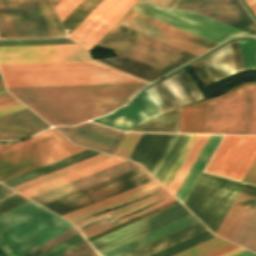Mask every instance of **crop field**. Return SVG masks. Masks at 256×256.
Here are the masks:
<instances>
[{
    "instance_id": "crop-field-8",
    "label": "crop field",
    "mask_w": 256,
    "mask_h": 256,
    "mask_svg": "<svg viewBox=\"0 0 256 256\" xmlns=\"http://www.w3.org/2000/svg\"><path fill=\"white\" fill-rule=\"evenodd\" d=\"M156 191H158L157 193H155ZM155 193L143 200L137 201V202H133L130 204H127L119 209L107 212V213H103V214H99V215H95V216H91V217H87V218H83L86 217L88 215L91 214H95V213H99V212H103L109 209H113L116 208L120 205L126 204L128 202L137 200L139 198L145 197L149 194ZM163 200V201H161ZM174 200V198L162 187H158L155 189H152L150 191L144 192L142 194L136 195L134 197L128 198L126 200L120 201L118 203L112 204L110 206L104 207L102 209L96 210L94 212L88 213L86 215L80 216L78 218L72 219L70 220L78 229L79 231L86 237H90L92 235H95L99 232H102L108 228H111L115 225H118L122 222H125L131 218H134L140 214H143L147 211H150L156 207H159L165 203H168L170 201ZM157 201H161L141 212H137L135 214H132L126 218H122V219H118L126 214L132 213L134 211H137L147 205H150L154 202ZM83 218V220L81 219ZM118 219V220H116Z\"/></svg>"
},
{
    "instance_id": "crop-field-1",
    "label": "crop field",
    "mask_w": 256,
    "mask_h": 256,
    "mask_svg": "<svg viewBox=\"0 0 256 256\" xmlns=\"http://www.w3.org/2000/svg\"><path fill=\"white\" fill-rule=\"evenodd\" d=\"M93 61L77 44L0 47V64ZM7 89L148 84L97 62L0 65ZM145 85L8 90L51 125H75L125 104Z\"/></svg>"
},
{
    "instance_id": "crop-field-62",
    "label": "crop field",
    "mask_w": 256,
    "mask_h": 256,
    "mask_svg": "<svg viewBox=\"0 0 256 256\" xmlns=\"http://www.w3.org/2000/svg\"><path fill=\"white\" fill-rule=\"evenodd\" d=\"M54 5H56L60 0H52Z\"/></svg>"
},
{
    "instance_id": "crop-field-6",
    "label": "crop field",
    "mask_w": 256,
    "mask_h": 256,
    "mask_svg": "<svg viewBox=\"0 0 256 256\" xmlns=\"http://www.w3.org/2000/svg\"><path fill=\"white\" fill-rule=\"evenodd\" d=\"M242 186L201 172L183 205L215 234Z\"/></svg>"
},
{
    "instance_id": "crop-field-26",
    "label": "crop field",
    "mask_w": 256,
    "mask_h": 256,
    "mask_svg": "<svg viewBox=\"0 0 256 256\" xmlns=\"http://www.w3.org/2000/svg\"><path fill=\"white\" fill-rule=\"evenodd\" d=\"M204 230H206V228L197 221L121 256H147Z\"/></svg>"
},
{
    "instance_id": "crop-field-22",
    "label": "crop field",
    "mask_w": 256,
    "mask_h": 256,
    "mask_svg": "<svg viewBox=\"0 0 256 256\" xmlns=\"http://www.w3.org/2000/svg\"><path fill=\"white\" fill-rule=\"evenodd\" d=\"M118 24L123 25L125 27H128L130 29H133L135 31H138L140 33H143L145 35H148L150 37H153L155 39H158L162 42H165L167 44H170L172 46H175L177 48H180L182 50H185L187 52H190L192 54H195L197 56L205 53L209 49L204 48L200 45H197L195 43H192L190 41H187L183 38H180L178 36H175L173 34H170L166 31H163L161 29H158L156 27H153L149 24H146L144 22H141L139 20H136L132 17H129L125 15Z\"/></svg>"
},
{
    "instance_id": "crop-field-20",
    "label": "crop field",
    "mask_w": 256,
    "mask_h": 256,
    "mask_svg": "<svg viewBox=\"0 0 256 256\" xmlns=\"http://www.w3.org/2000/svg\"><path fill=\"white\" fill-rule=\"evenodd\" d=\"M156 84L172 108L203 99L184 69Z\"/></svg>"
},
{
    "instance_id": "crop-field-19",
    "label": "crop field",
    "mask_w": 256,
    "mask_h": 256,
    "mask_svg": "<svg viewBox=\"0 0 256 256\" xmlns=\"http://www.w3.org/2000/svg\"><path fill=\"white\" fill-rule=\"evenodd\" d=\"M137 167H140V165L126 161L124 163L118 164L111 168L105 169L103 171L92 174L85 178L71 182L69 184L58 187L56 189L45 192L38 196L32 197L30 199L35 201L36 203L42 205V204L49 202L53 199L63 197L65 195H68L75 191L81 190L89 185L95 184L97 182L103 181L105 179L111 178L113 176L119 175V174L127 172L129 170L135 169Z\"/></svg>"
},
{
    "instance_id": "crop-field-53",
    "label": "crop field",
    "mask_w": 256,
    "mask_h": 256,
    "mask_svg": "<svg viewBox=\"0 0 256 256\" xmlns=\"http://www.w3.org/2000/svg\"><path fill=\"white\" fill-rule=\"evenodd\" d=\"M16 101L11 95L8 93L0 95V105Z\"/></svg>"
},
{
    "instance_id": "crop-field-14",
    "label": "crop field",
    "mask_w": 256,
    "mask_h": 256,
    "mask_svg": "<svg viewBox=\"0 0 256 256\" xmlns=\"http://www.w3.org/2000/svg\"><path fill=\"white\" fill-rule=\"evenodd\" d=\"M136 0H103L68 38L90 49Z\"/></svg>"
},
{
    "instance_id": "crop-field-17",
    "label": "crop field",
    "mask_w": 256,
    "mask_h": 256,
    "mask_svg": "<svg viewBox=\"0 0 256 256\" xmlns=\"http://www.w3.org/2000/svg\"><path fill=\"white\" fill-rule=\"evenodd\" d=\"M159 113L160 111L145 91L128 107H123L105 117L92 120V122L126 131Z\"/></svg>"
},
{
    "instance_id": "crop-field-40",
    "label": "crop field",
    "mask_w": 256,
    "mask_h": 256,
    "mask_svg": "<svg viewBox=\"0 0 256 256\" xmlns=\"http://www.w3.org/2000/svg\"><path fill=\"white\" fill-rule=\"evenodd\" d=\"M245 70L256 69V40H239Z\"/></svg>"
},
{
    "instance_id": "crop-field-42",
    "label": "crop field",
    "mask_w": 256,
    "mask_h": 256,
    "mask_svg": "<svg viewBox=\"0 0 256 256\" xmlns=\"http://www.w3.org/2000/svg\"><path fill=\"white\" fill-rule=\"evenodd\" d=\"M76 233H78V232L73 227L21 256H36V255L40 254L41 252L51 248L52 246L60 243L61 241L69 238L70 236H72Z\"/></svg>"
},
{
    "instance_id": "crop-field-63",
    "label": "crop field",
    "mask_w": 256,
    "mask_h": 256,
    "mask_svg": "<svg viewBox=\"0 0 256 256\" xmlns=\"http://www.w3.org/2000/svg\"><path fill=\"white\" fill-rule=\"evenodd\" d=\"M0 88H4L3 87V83H2V80L0 79Z\"/></svg>"
},
{
    "instance_id": "crop-field-27",
    "label": "crop field",
    "mask_w": 256,
    "mask_h": 256,
    "mask_svg": "<svg viewBox=\"0 0 256 256\" xmlns=\"http://www.w3.org/2000/svg\"><path fill=\"white\" fill-rule=\"evenodd\" d=\"M199 60L214 82L235 73L229 44Z\"/></svg>"
},
{
    "instance_id": "crop-field-23",
    "label": "crop field",
    "mask_w": 256,
    "mask_h": 256,
    "mask_svg": "<svg viewBox=\"0 0 256 256\" xmlns=\"http://www.w3.org/2000/svg\"><path fill=\"white\" fill-rule=\"evenodd\" d=\"M256 197V187L244 184L216 235L231 240L243 217Z\"/></svg>"
},
{
    "instance_id": "crop-field-39",
    "label": "crop field",
    "mask_w": 256,
    "mask_h": 256,
    "mask_svg": "<svg viewBox=\"0 0 256 256\" xmlns=\"http://www.w3.org/2000/svg\"><path fill=\"white\" fill-rule=\"evenodd\" d=\"M231 243L215 237L174 256H204Z\"/></svg>"
},
{
    "instance_id": "crop-field-43",
    "label": "crop field",
    "mask_w": 256,
    "mask_h": 256,
    "mask_svg": "<svg viewBox=\"0 0 256 256\" xmlns=\"http://www.w3.org/2000/svg\"><path fill=\"white\" fill-rule=\"evenodd\" d=\"M85 241L82 236L78 233L72 237H70L69 239L61 242L60 244L52 247L51 249L41 253L38 256H57L63 252H65L66 250L76 246L77 244L81 243Z\"/></svg>"
},
{
    "instance_id": "crop-field-38",
    "label": "crop field",
    "mask_w": 256,
    "mask_h": 256,
    "mask_svg": "<svg viewBox=\"0 0 256 256\" xmlns=\"http://www.w3.org/2000/svg\"><path fill=\"white\" fill-rule=\"evenodd\" d=\"M52 36H65L50 0H37Z\"/></svg>"
},
{
    "instance_id": "crop-field-44",
    "label": "crop field",
    "mask_w": 256,
    "mask_h": 256,
    "mask_svg": "<svg viewBox=\"0 0 256 256\" xmlns=\"http://www.w3.org/2000/svg\"><path fill=\"white\" fill-rule=\"evenodd\" d=\"M140 135L141 133H126L119 147L117 146L118 148L115 154H113L115 156L127 159Z\"/></svg>"
},
{
    "instance_id": "crop-field-48",
    "label": "crop field",
    "mask_w": 256,
    "mask_h": 256,
    "mask_svg": "<svg viewBox=\"0 0 256 256\" xmlns=\"http://www.w3.org/2000/svg\"><path fill=\"white\" fill-rule=\"evenodd\" d=\"M26 200H28V199H26L18 194L7 199L6 201L0 203V214L10 210L11 208L19 205L20 203H22Z\"/></svg>"
},
{
    "instance_id": "crop-field-61",
    "label": "crop field",
    "mask_w": 256,
    "mask_h": 256,
    "mask_svg": "<svg viewBox=\"0 0 256 256\" xmlns=\"http://www.w3.org/2000/svg\"><path fill=\"white\" fill-rule=\"evenodd\" d=\"M174 2H175V0H172V1L169 3L168 6L171 7Z\"/></svg>"
},
{
    "instance_id": "crop-field-57",
    "label": "crop field",
    "mask_w": 256,
    "mask_h": 256,
    "mask_svg": "<svg viewBox=\"0 0 256 256\" xmlns=\"http://www.w3.org/2000/svg\"><path fill=\"white\" fill-rule=\"evenodd\" d=\"M243 250H245V249H243V248H241V247H238V248H236V249H234V250H231V251H229V252H227V253H225V254H222V255H220V256H232V255H234V254H236V253H239V252H241V251H243Z\"/></svg>"
},
{
    "instance_id": "crop-field-29",
    "label": "crop field",
    "mask_w": 256,
    "mask_h": 256,
    "mask_svg": "<svg viewBox=\"0 0 256 256\" xmlns=\"http://www.w3.org/2000/svg\"><path fill=\"white\" fill-rule=\"evenodd\" d=\"M195 221H197V219L193 215H191V216L184 218L178 222H175V223L168 225L164 228H161L155 232H152V233L145 235L141 238H138L132 242H129L125 245L115 248L109 252H106V253L102 254V256H119V255L126 253L132 249H135L141 245H144L152 240H155L161 236H164L170 232H173L179 228H182L188 224H191Z\"/></svg>"
},
{
    "instance_id": "crop-field-41",
    "label": "crop field",
    "mask_w": 256,
    "mask_h": 256,
    "mask_svg": "<svg viewBox=\"0 0 256 256\" xmlns=\"http://www.w3.org/2000/svg\"><path fill=\"white\" fill-rule=\"evenodd\" d=\"M74 43L67 38H45V39H9L0 40V46L6 45H34V44H62Z\"/></svg>"
},
{
    "instance_id": "crop-field-34",
    "label": "crop field",
    "mask_w": 256,
    "mask_h": 256,
    "mask_svg": "<svg viewBox=\"0 0 256 256\" xmlns=\"http://www.w3.org/2000/svg\"><path fill=\"white\" fill-rule=\"evenodd\" d=\"M102 0H83L62 22L69 35Z\"/></svg>"
},
{
    "instance_id": "crop-field-24",
    "label": "crop field",
    "mask_w": 256,
    "mask_h": 256,
    "mask_svg": "<svg viewBox=\"0 0 256 256\" xmlns=\"http://www.w3.org/2000/svg\"><path fill=\"white\" fill-rule=\"evenodd\" d=\"M126 160L118 159L111 157L109 159L103 160L101 162L95 163L93 165L87 166L85 168H82L80 170L74 171L72 173L66 174L64 176L58 177L56 179L50 180L48 182H45L43 184L37 185L35 187L29 188L27 190L19 192L20 194L30 198L32 196L38 195L40 193H43L45 191L51 190L53 188H56L58 186L64 185L66 183H69L71 181L77 180L79 178L85 177L87 175H90L92 173L98 172L100 170H103L105 168L111 167L113 165H116L118 163L124 162Z\"/></svg>"
},
{
    "instance_id": "crop-field-9",
    "label": "crop field",
    "mask_w": 256,
    "mask_h": 256,
    "mask_svg": "<svg viewBox=\"0 0 256 256\" xmlns=\"http://www.w3.org/2000/svg\"><path fill=\"white\" fill-rule=\"evenodd\" d=\"M182 137L183 135L174 134L164 154L151 174L157 180ZM207 137L208 135H184L172 158L160 176L158 181L174 195Z\"/></svg>"
},
{
    "instance_id": "crop-field-25",
    "label": "crop field",
    "mask_w": 256,
    "mask_h": 256,
    "mask_svg": "<svg viewBox=\"0 0 256 256\" xmlns=\"http://www.w3.org/2000/svg\"><path fill=\"white\" fill-rule=\"evenodd\" d=\"M98 152L86 149L84 151L78 152L76 154H73L71 156H68L66 158L60 159L58 161H55L53 163L47 164L45 166H42L40 168L34 169L32 171H29L27 173H24L22 175L16 176L14 178H11L9 180L1 182L2 184L12 188L14 186H17L19 184L25 183L27 181L33 180L35 178L41 177L43 175H46L48 173L54 172L56 170L62 169L64 167H67L69 165L75 164L77 162L83 161L85 159H88L90 157L96 156Z\"/></svg>"
},
{
    "instance_id": "crop-field-64",
    "label": "crop field",
    "mask_w": 256,
    "mask_h": 256,
    "mask_svg": "<svg viewBox=\"0 0 256 256\" xmlns=\"http://www.w3.org/2000/svg\"><path fill=\"white\" fill-rule=\"evenodd\" d=\"M0 256H2V255L0 254Z\"/></svg>"
},
{
    "instance_id": "crop-field-52",
    "label": "crop field",
    "mask_w": 256,
    "mask_h": 256,
    "mask_svg": "<svg viewBox=\"0 0 256 256\" xmlns=\"http://www.w3.org/2000/svg\"><path fill=\"white\" fill-rule=\"evenodd\" d=\"M236 247H238V246H236V245H234V244H231V245H229V246H227V247H225V248H222V249H220V250H218V251H215V252H213V253H211V254H209V255H206V256H218V255H220V254H222V253H225V252H227V251H229V250H231V249H234V248H236Z\"/></svg>"
},
{
    "instance_id": "crop-field-30",
    "label": "crop field",
    "mask_w": 256,
    "mask_h": 256,
    "mask_svg": "<svg viewBox=\"0 0 256 256\" xmlns=\"http://www.w3.org/2000/svg\"><path fill=\"white\" fill-rule=\"evenodd\" d=\"M160 184L154 180L152 182L146 183L144 185L138 186L136 188L130 189L123 193L117 194L115 196L109 197L107 199L101 200L99 202L93 203L86 207L80 208L78 210L72 211L70 213L62 215L64 218L70 220L72 218L78 217L80 215L86 214L88 212L94 211L96 209L102 208L104 206L110 205L112 203L118 202L120 200L126 199L128 197L134 196L136 194L142 193L144 191L150 190L152 188L158 187Z\"/></svg>"
},
{
    "instance_id": "crop-field-35",
    "label": "crop field",
    "mask_w": 256,
    "mask_h": 256,
    "mask_svg": "<svg viewBox=\"0 0 256 256\" xmlns=\"http://www.w3.org/2000/svg\"><path fill=\"white\" fill-rule=\"evenodd\" d=\"M255 230H256V199L254 200L249 211L244 217L242 223L237 229L235 235L232 238V241L246 247L247 243L249 242Z\"/></svg>"
},
{
    "instance_id": "crop-field-37",
    "label": "crop field",
    "mask_w": 256,
    "mask_h": 256,
    "mask_svg": "<svg viewBox=\"0 0 256 256\" xmlns=\"http://www.w3.org/2000/svg\"><path fill=\"white\" fill-rule=\"evenodd\" d=\"M215 237L212 233H210L208 230L200 233V234H197L191 238H188L184 241H181L175 245H172L166 249H163L157 253H154L150 256H172L176 253H179L185 249H188L192 246H195L199 243H202L208 239H211Z\"/></svg>"
},
{
    "instance_id": "crop-field-31",
    "label": "crop field",
    "mask_w": 256,
    "mask_h": 256,
    "mask_svg": "<svg viewBox=\"0 0 256 256\" xmlns=\"http://www.w3.org/2000/svg\"><path fill=\"white\" fill-rule=\"evenodd\" d=\"M206 101L182 108L180 132L204 133Z\"/></svg>"
},
{
    "instance_id": "crop-field-60",
    "label": "crop field",
    "mask_w": 256,
    "mask_h": 256,
    "mask_svg": "<svg viewBox=\"0 0 256 256\" xmlns=\"http://www.w3.org/2000/svg\"><path fill=\"white\" fill-rule=\"evenodd\" d=\"M6 93L5 89H0V94Z\"/></svg>"
},
{
    "instance_id": "crop-field-47",
    "label": "crop field",
    "mask_w": 256,
    "mask_h": 256,
    "mask_svg": "<svg viewBox=\"0 0 256 256\" xmlns=\"http://www.w3.org/2000/svg\"><path fill=\"white\" fill-rule=\"evenodd\" d=\"M230 45H231V50H232V55H233L235 71H236V73L243 71L244 68H243V63H242L241 52H240L238 40L230 42Z\"/></svg>"
},
{
    "instance_id": "crop-field-3",
    "label": "crop field",
    "mask_w": 256,
    "mask_h": 256,
    "mask_svg": "<svg viewBox=\"0 0 256 256\" xmlns=\"http://www.w3.org/2000/svg\"><path fill=\"white\" fill-rule=\"evenodd\" d=\"M54 130L21 143L0 144V182L86 149L73 145Z\"/></svg>"
},
{
    "instance_id": "crop-field-12",
    "label": "crop field",
    "mask_w": 256,
    "mask_h": 256,
    "mask_svg": "<svg viewBox=\"0 0 256 256\" xmlns=\"http://www.w3.org/2000/svg\"><path fill=\"white\" fill-rule=\"evenodd\" d=\"M191 215L179 203L90 241L100 253Z\"/></svg>"
},
{
    "instance_id": "crop-field-59",
    "label": "crop field",
    "mask_w": 256,
    "mask_h": 256,
    "mask_svg": "<svg viewBox=\"0 0 256 256\" xmlns=\"http://www.w3.org/2000/svg\"><path fill=\"white\" fill-rule=\"evenodd\" d=\"M16 104H20V103L18 101L13 102V103H9V104L0 106V109L6 108V107H10V106H13V105H16Z\"/></svg>"
},
{
    "instance_id": "crop-field-15",
    "label": "crop field",
    "mask_w": 256,
    "mask_h": 256,
    "mask_svg": "<svg viewBox=\"0 0 256 256\" xmlns=\"http://www.w3.org/2000/svg\"><path fill=\"white\" fill-rule=\"evenodd\" d=\"M172 8L192 9L256 36V23L239 0H177Z\"/></svg>"
},
{
    "instance_id": "crop-field-55",
    "label": "crop field",
    "mask_w": 256,
    "mask_h": 256,
    "mask_svg": "<svg viewBox=\"0 0 256 256\" xmlns=\"http://www.w3.org/2000/svg\"><path fill=\"white\" fill-rule=\"evenodd\" d=\"M171 0H146V2L153 3L159 6H167Z\"/></svg>"
},
{
    "instance_id": "crop-field-28",
    "label": "crop field",
    "mask_w": 256,
    "mask_h": 256,
    "mask_svg": "<svg viewBox=\"0 0 256 256\" xmlns=\"http://www.w3.org/2000/svg\"><path fill=\"white\" fill-rule=\"evenodd\" d=\"M220 138L221 136L209 135L207 141L205 142L203 148L201 149L199 155L197 156L195 162L193 163L192 167L190 168L188 174L186 175L184 181L182 182L180 188L175 195L182 204Z\"/></svg>"
},
{
    "instance_id": "crop-field-18",
    "label": "crop field",
    "mask_w": 256,
    "mask_h": 256,
    "mask_svg": "<svg viewBox=\"0 0 256 256\" xmlns=\"http://www.w3.org/2000/svg\"><path fill=\"white\" fill-rule=\"evenodd\" d=\"M48 126L26 108L0 117V140L20 139Z\"/></svg>"
},
{
    "instance_id": "crop-field-32",
    "label": "crop field",
    "mask_w": 256,
    "mask_h": 256,
    "mask_svg": "<svg viewBox=\"0 0 256 256\" xmlns=\"http://www.w3.org/2000/svg\"><path fill=\"white\" fill-rule=\"evenodd\" d=\"M181 108L162 114L131 131L179 132Z\"/></svg>"
},
{
    "instance_id": "crop-field-50",
    "label": "crop field",
    "mask_w": 256,
    "mask_h": 256,
    "mask_svg": "<svg viewBox=\"0 0 256 256\" xmlns=\"http://www.w3.org/2000/svg\"><path fill=\"white\" fill-rule=\"evenodd\" d=\"M23 108H26V107L24 105L20 104V105H16V106H13V107H10V108L0 110V116H3L5 114H8V113H11V112L23 109Z\"/></svg>"
},
{
    "instance_id": "crop-field-13",
    "label": "crop field",
    "mask_w": 256,
    "mask_h": 256,
    "mask_svg": "<svg viewBox=\"0 0 256 256\" xmlns=\"http://www.w3.org/2000/svg\"><path fill=\"white\" fill-rule=\"evenodd\" d=\"M152 180H154V178L152 176H150L142 167H140L138 169H135V170H132L125 174L119 175V176L109 179L107 181H104V182H101L94 186L83 189L74 194H71V195L65 196L63 198L57 199L55 201H52L50 203L44 204L42 206L62 215L64 213L70 212L72 210L78 209L80 207L86 206L93 202L99 201L101 199L107 198L109 196L115 195L117 193L123 192L125 190H128L130 188L136 187L138 185L144 184V183L152 181ZM90 191H92V192H90ZM87 192H90V193H88L80 198L60 202V201H63V200L87 193ZM93 194H95V196H93L89 199H86L82 202L72 204V203L82 200L86 197H89ZM58 202H60V203H58ZM69 204H72V205H69ZM67 205H69V206H67ZM65 206H67V207H65Z\"/></svg>"
},
{
    "instance_id": "crop-field-4",
    "label": "crop field",
    "mask_w": 256,
    "mask_h": 256,
    "mask_svg": "<svg viewBox=\"0 0 256 256\" xmlns=\"http://www.w3.org/2000/svg\"><path fill=\"white\" fill-rule=\"evenodd\" d=\"M97 44L167 73L197 57L118 24Z\"/></svg>"
},
{
    "instance_id": "crop-field-66",
    "label": "crop field",
    "mask_w": 256,
    "mask_h": 256,
    "mask_svg": "<svg viewBox=\"0 0 256 256\" xmlns=\"http://www.w3.org/2000/svg\"><path fill=\"white\" fill-rule=\"evenodd\" d=\"M0 78H1V76H0Z\"/></svg>"
},
{
    "instance_id": "crop-field-51",
    "label": "crop field",
    "mask_w": 256,
    "mask_h": 256,
    "mask_svg": "<svg viewBox=\"0 0 256 256\" xmlns=\"http://www.w3.org/2000/svg\"><path fill=\"white\" fill-rule=\"evenodd\" d=\"M12 192H14V191H12V190H10V189H8V188H6L5 186H3V185H1L0 184V199L1 198H3V197H5V196H7L8 194H10V193H12ZM15 193V192H14ZM13 194V193H12ZM16 194V193H15ZM15 194H13V195H15ZM11 195V194H10ZM13 195H11V196H13ZM9 196V195H8ZM7 196V197H8ZM11 196H9V197H11ZM8 197V198H9ZM6 198V197H5ZM4 199V198H3ZM7 199V198H6ZM6 199H4V200H6ZM2 200V199H1ZM0 200V201H1ZM4 200H2V201H4ZM1 201V202H2Z\"/></svg>"
},
{
    "instance_id": "crop-field-21",
    "label": "crop field",
    "mask_w": 256,
    "mask_h": 256,
    "mask_svg": "<svg viewBox=\"0 0 256 256\" xmlns=\"http://www.w3.org/2000/svg\"><path fill=\"white\" fill-rule=\"evenodd\" d=\"M173 134L142 133L128 160L140 163L150 174Z\"/></svg>"
},
{
    "instance_id": "crop-field-2",
    "label": "crop field",
    "mask_w": 256,
    "mask_h": 256,
    "mask_svg": "<svg viewBox=\"0 0 256 256\" xmlns=\"http://www.w3.org/2000/svg\"><path fill=\"white\" fill-rule=\"evenodd\" d=\"M71 227L28 200L0 215V249L5 256H20Z\"/></svg>"
},
{
    "instance_id": "crop-field-56",
    "label": "crop field",
    "mask_w": 256,
    "mask_h": 256,
    "mask_svg": "<svg viewBox=\"0 0 256 256\" xmlns=\"http://www.w3.org/2000/svg\"><path fill=\"white\" fill-rule=\"evenodd\" d=\"M248 6L251 8L253 13L256 15V0H245Z\"/></svg>"
},
{
    "instance_id": "crop-field-45",
    "label": "crop field",
    "mask_w": 256,
    "mask_h": 256,
    "mask_svg": "<svg viewBox=\"0 0 256 256\" xmlns=\"http://www.w3.org/2000/svg\"><path fill=\"white\" fill-rule=\"evenodd\" d=\"M59 256H98V255L85 241Z\"/></svg>"
},
{
    "instance_id": "crop-field-54",
    "label": "crop field",
    "mask_w": 256,
    "mask_h": 256,
    "mask_svg": "<svg viewBox=\"0 0 256 256\" xmlns=\"http://www.w3.org/2000/svg\"><path fill=\"white\" fill-rule=\"evenodd\" d=\"M247 248L256 252V231H255L254 235L252 236L250 242L248 243Z\"/></svg>"
},
{
    "instance_id": "crop-field-5",
    "label": "crop field",
    "mask_w": 256,
    "mask_h": 256,
    "mask_svg": "<svg viewBox=\"0 0 256 256\" xmlns=\"http://www.w3.org/2000/svg\"><path fill=\"white\" fill-rule=\"evenodd\" d=\"M205 133L256 134V83L208 100Z\"/></svg>"
},
{
    "instance_id": "crop-field-10",
    "label": "crop field",
    "mask_w": 256,
    "mask_h": 256,
    "mask_svg": "<svg viewBox=\"0 0 256 256\" xmlns=\"http://www.w3.org/2000/svg\"><path fill=\"white\" fill-rule=\"evenodd\" d=\"M0 34L5 38L51 36L36 0H0Z\"/></svg>"
},
{
    "instance_id": "crop-field-49",
    "label": "crop field",
    "mask_w": 256,
    "mask_h": 256,
    "mask_svg": "<svg viewBox=\"0 0 256 256\" xmlns=\"http://www.w3.org/2000/svg\"><path fill=\"white\" fill-rule=\"evenodd\" d=\"M243 181L252 183V184H256V158H255L254 162L252 163L250 169L248 170L247 174L245 175Z\"/></svg>"
},
{
    "instance_id": "crop-field-11",
    "label": "crop field",
    "mask_w": 256,
    "mask_h": 256,
    "mask_svg": "<svg viewBox=\"0 0 256 256\" xmlns=\"http://www.w3.org/2000/svg\"><path fill=\"white\" fill-rule=\"evenodd\" d=\"M256 156V137L225 136L207 172L242 180Z\"/></svg>"
},
{
    "instance_id": "crop-field-33",
    "label": "crop field",
    "mask_w": 256,
    "mask_h": 256,
    "mask_svg": "<svg viewBox=\"0 0 256 256\" xmlns=\"http://www.w3.org/2000/svg\"><path fill=\"white\" fill-rule=\"evenodd\" d=\"M127 15L132 16V17H134V18H136V19H139V20H141V21H144V22H146V23H149V24H151V25H153V26H156V27H158V28H161V29H163V30H166V31H168V32H170V33H173V34H175V35H178V36H180V37H183V38H185V39H187V40H190V41H192V42H195V43H197V44H200V45H202V46H204V47H207V48H209V49H211V48H213V47H215V46L217 45V44L212 43V42H210V41H207V40H205V39H203V38H200V37H198V36H195V35H193V34H190V33H188V32H185V31H183V30H181V29H178V28H176V27H173V26H171V25H168V24H166V23H163V22H161V21H159V20H156V19L151 18V17H149V16H146V15H144V14H141V13H139V12H137V11L132 10V9L129 10V12L127 13Z\"/></svg>"
},
{
    "instance_id": "crop-field-46",
    "label": "crop field",
    "mask_w": 256,
    "mask_h": 256,
    "mask_svg": "<svg viewBox=\"0 0 256 256\" xmlns=\"http://www.w3.org/2000/svg\"><path fill=\"white\" fill-rule=\"evenodd\" d=\"M81 1L82 0H61L55 6L61 21H63Z\"/></svg>"
},
{
    "instance_id": "crop-field-65",
    "label": "crop field",
    "mask_w": 256,
    "mask_h": 256,
    "mask_svg": "<svg viewBox=\"0 0 256 256\" xmlns=\"http://www.w3.org/2000/svg\"><path fill=\"white\" fill-rule=\"evenodd\" d=\"M143 1H145V0H143Z\"/></svg>"
},
{
    "instance_id": "crop-field-16",
    "label": "crop field",
    "mask_w": 256,
    "mask_h": 256,
    "mask_svg": "<svg viewBox=\"0 0 256 256\" xmlns=\"http://www.w3.org/2000/svg\"><path fill=\"white\" fill-rule=\"evenodd\" d=\"M54 128L76 144L109 154L113 153L124 134L91 122H86L75 127Z\"/></svg>"
},
{
    "instance_id": "crop-field-36",
    "label": "crop field",
    "mask_w": 256,
    "mask_h": 256,
    "mask_svg": "<svg viewBox=\"0 0 256 256\" xmlns=\"http://www.w3.org/2000/svg\"><path fill=\"white\" fill-rule=\"evenodd\" d=\"M109 157H111V156H107V155H104V154H101V155L93 157V158L90 157L91 159L85 160V161L80 162V163L77 162L78 164H75V165H72V166L69 165L70 167L64 168L62 170H59V171L51 173V174L48 173L49 175L43 176L41 178L35 179L33 181H30V182L27 181L28 183H25V184H22V185L19 184L20 186L14 187L12 189L19 192L21 190H24V189H27L29 187L35 186L37 184L43 183V182L48 181L50 179L56 178L58 176L64 175L66 173L72 172L74 170L80 169L82 167H85L87 165L93 164L95 162L101 161V160L109 158Z\"/></svg>"
},
{
    "instance_id": "crop-field-58",
    "label": "crop field",
    "mask_w": 256,
    "mask_h": 256,
    "mask_svg": "<svg viewBox=\"0 0 256 256\" xmlns=\"http://www.w3.org/2000/svg\"><path fill=\"white\" fill-rule=\"evenodd\" d=\"M254 255H256V254H254V253H252V252H250L248 250H245V251H243V252H241L239 254H236L234 256H254Z\"/></svg>"
},
{
    "instance_id": "crop-field-7",
    "label": "crop field",
    "mask_w": 256,
    "mask_h": 256,
    "mask_svg": "<svg viewBox=\"0 0 256 256\" xmlns=\"http://www.w3.org/2000/svg\"><path fill=\"white\" fill-rule=\"evenodd\" d=\"M132 9L208 39L217 44L236 36H252L192 10L158 8L137 2Z\"/></svg>"
}]
</instances>
